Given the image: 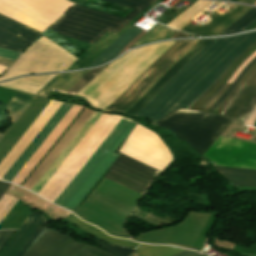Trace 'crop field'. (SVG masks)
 <instances>
[{
	"mask_svg": "<svg viewBox=\"0 0 256 256\" xmlns=\"http://www.w3.org/2000/svg\"><path fill=\"white\" fill-rule=\"evenodd\" d=\"M256 104V74L245 86L231 107L225 113V117L244 123L248 114Z\"/></svg>",
	"mask_w": 256,
	"mask_h": 256,
	"instance_id": "16",
	"label": "crop field"
},
{
	"mask_svg": "<svg viewBox=\"0 0 256 256\" xmlns=\"http://www.w3.org/2000/svg\"><path fill=\"white\" fill-rule=\"evenodd\" d=\"M254 42L256 32L214 39L136 115L149 118L154 124L176 107L188 109Z\"/></svg>",
	"mask_w": 256,
	"mask_h": 256,
	"instance_id": "1",
	"label": "crop field"
},
{
	"mask_svg": "<svg viewBox=\"0 0 256 256\" xmlns=\"http://www.w3.org/2000/svg\"><path fill=\"white\" fill-rule=\"evenodd\" d=\"M162 0H158L148 9H146L142 14H140L137 18L131 21L126 27H124L120 32L116 35L107 32L105 33L93 46H91L73 65H71L67 70L79 69L86 67L92 60H94L108 45H110L119 35H121L127 28H129L135 21H137L143 14L153 8ZM93 62V61H92ZM91 62V63H92ZM90 63V64H91ZM89 64V65H90ZM88 65V66H89ZM87 66V67H88Z\"/></svg>",
	"mask_w": 256,
	"mask_h": 256,
	"instance_id": "17",
	"label": "crop field"
},
{
	"mask_svg": "<svg viewBox=\"0 0 256 256\" xmlns=\"http://www.w3.org/2000/svg\"><path fill=\"white\" fill-rule=\"evenodd\" d=\"M229 122L215 114L177 108L154 125L175 132L202 155Z\"/></svg>",
	"mask_w": 256,
	"mask_h": 256,
	"instance_id": "5",
	"label": "crop field"
},
{
	"mask_svg": "<svg viewBox=\"0 0 256 256\" xmlns=\"http://www.w3.org/2000/svg\"><path fill=\"white\" fill-rule=\"evenodd\" d=\"M254 126H256V123H255V125Z\"/></svg>",
	"mask_w": 256,
	"mask_h": 256,
	"instance_id": "37",
	"label": "crop field"
},
{
	"mask_svg": "<svg viewBox=\"0 0 256 256\" xmlns=\"http://www.w3.org/2000/svg\"><path fill=\"white\" fill-rule=\"evenodd\" d=\"M4 135H2L1 133H0V140H1V138L3 137Z\"/></svg>",
	"mask_w": 256,
	"mask_h": 256,
	"instance_id": "35",
	"label": "crop field"
},
{
	"mask_svg": "<svg viewBox=\"0 0 256 256\" xmlns=\"http://www.w3.org/2000/svg\"><path fill=\"white\" fill-rule=\"evenodd\" d=\"M256 68V63L247 71V73L243 76V78L240 80V82L237 84V86L233 89V91L228 95V97L224 100V102L221 104L219 109L215 112V114H218L222 111L224 106L227 104V102L230 100V98L234 95V93L237 91V89L243 84V82L248 78V76L253 72V70Z\"/></svg>",
	"mask_w": 256,
	"mask_h": 256,
	"instance_id": "27",
	"label": "crop field"
},
{
	"mask_svg": "<svg viewBox=\"0 0 256 256\" xmlns=\"http://www.w3.org/2000/svg\"><path fill=\"white\" fill-rule=\"evenodd\" d=\"M65 219L70 221L72 224L82 228L83 230L89 232L90 234H92V235H94V236H96L100 239H103L107 242H110V243H114V244H118V245H122V246H126V247H136L140 244V243H135L131 240L118 239V238L108 236L105 233H103L101 230H99L98 228L93 227V226H91L87 223H84L83 221L78 219L72 213L68 217H66Z\"/></svg>",
	"mask_w": 256,
	"mask_h": 256,
	"instance_id": "22",
	"label": "crop field"
},
{
	"mask_svg": "<svg viewBox=\"0 0 256 256\" xmlns=\"http://www.w3.org/2000/svg\"><path fill=\"white\" fill-rule=\"evenodd\" d=\"M85 243L44 227L23 256H75ZM76 256H114L86 244Z\"/></svg>",
	"mask_w": 256,
	"mask_h": 256,
	"instance_id": "7",
	"label": "crop field"
},
{
	"mask_svg": "<svg viewBox=\"0 0 256 256\" xmlns=\"http://www.w3.org/2000/svg\"><path fill=\"white\" fill-rule=\"evenodd\" d=\"M45 225L44 216L32 211L0 256H22Z\"/></svg>",
	"mask_w": 256,
	"mask_h": 256,
	"instance_id": "10",
	"label": "crop field"
},
{
	"mask_svg": "<svg viewBox=\"0 0 256 256\" xmlns=\"http://www.w3.org/2000/svg\"><path fill=\"white\" fill-rule=\"evenodd\" d=\"M200 40V39H199ZM199 40L178 41L156 60L121 96L104 112L119 111L125 113L142 95L189 49Z\"/></svg>",
	"mask_w": 256,
	"mask_h": 256,
	"instance_id": "6",
	"label": "crop field"
},
{
	"mask_svg": "<svg viewBox=\"0 0 256 256\" xmlns=\"http://www.w3.org/2000/svg\"><path fill=\"white\" fill-rule=\"evenodd\" d=\"M254 56H256V52L233 74V76L230 78V80L227 82V84L224 86V88L212 99V101L202 111H204V112L209 111V109L214 105V103L219 99V97L229 87V85L232 83V81L235 79V77L241 72V70L248 64V62Z\"/></svg>",
	"mask_w": 256,
	"mask_h": 256,
	"instance_id": "26",
	"label": "crop field"
},
{
	"mask_svg": "<svg viewBox=\"0 0 256 256\" xmlns=\"http://www.w3.org/2000/svg\"><path fill=\"white\" fill-rule=\"evenodd\" d=\"M136 122L122 118L115 129L87 160L75 178L56 199L54 204L70 211L79 205L88 192L117 158L113 153L135 127Z\"/></svg>",
	"mask_w": 256,
	"mask_h": 256,
	"instance_id": "4",
	"label": "crop field"
},
{
	"mask_svg": "<svg viewBox=\"0 0 256 256\" xmlns=\"http://www.w3.org/2000/svg\"><path fill=\"white\" fill-rule=\"evenodd\" d=\"M106 66V65H105ZM105 66L89 71L57 74L47 85H45L36 95L46 97L52 92L65 94L84 76L72 89L66 94L75 95L84 87L99 71Z\"/></svg>",
	"mask_w": 256,
	"mask_h": 256,
	"instance_id": "11",
	"label": "crop field"
},
{
	"mask_svg": "<svg viewBox=\"0 0 256 256\" xmlns=\"http://www.w3.org/2000/svg\"><path fill=\"white\" fill-rule=\"evenodd\" d=\"M182 250L184 249H180L172 246H157V245H147V244H143L142 246L136 248V251L139 256H171ZM173 256H203V255L194 251L184 250Z\"/></svg>",
	"mask_w": 256,
	"mask_h": 256,
	"instance_id": "21",
	"label": "crop field"
},
{
	"mask_svg": "<svg viewBox=\"0 0 256 256\" xmlns=\"http://www.w3.org/2000/svg\"><path fill=\"white\" fill-rule=\"evenodd\" d=\"M237 187H256V170L213 166Z\"/></svg>",
	"mask_w": 256,
	"mask_h": 256,
	"instance_id": "20",
	"label": "crop field"
},
{
	"mask_svg": "<svg viewBox=\"0 0 256 256\" xmlns=\"http://www.w3.org/2000/svg\"><path fill=\"white\" fill-rule=\"evenodd\" d=\"M256 22V9L252 8L228 27H226L219 35H228L232 33H236L243 29L240 32L245 31L249 28L253 23Z\"/></svg>",
	"mask_w": 256,
	"mask_h": 256,
	"instance_id": "24",
	"label": "crop field"
},
{
	"mask_svg": "<svg viewBox=\"0 0 256 256\" xmlns=\"http://www.w3.org/2000/svg\"><path fill=\"white\" fill-rule=\"evenodd\" d=\"M34 97L35 96L18 92L16 96L10 101V103L7 105V108L12 125L19 118V116L26 109V107L30 104V102L34 99ZM11 126L8 129H6L3 133L6 134L7 131L11 128Z\"/></svg>",
	"mask_w": 256,
	"mask_h": 256,
	"instance_id": "23",
	"label": "crop field"
},
{
	"mask_svg": "<svg viewBox=\"0 0 256 256\" xmlns=\"http://www.w3.org/2000/svg\"><path fill=\"white\" fill-rule=\"evenodd\" d=\"M229 1H233V2H236L237 0H229Z\"/></svg>",
	"mask_w": 256,
	"mask_h": 256,
	"instance_id": "36",
	"label": "crop field"
},
{
	"mask_svg": "<svg viewBox=\"0 0 256 256\" xmlns=\"http://www.w3.org/2000/svg\"><path fill=\"white\" fill-rule=\"evenodd\" d=\"M119 154L106 177L144 195L160 172L121 153Z\"/></svg>",
	"mask_w": 256,
	"mask_h": 256,
	"instance_id": "9",
	"label": "crop field"
},
{
	"mask_svg": "<svg viewBox=\"0 0 256 256\" xmlns=\"http://www.w3.org/2000/svg\"><path fill=\"white\" fill-rule=\"evenodd\" d=\"M256 73V69L254 70V72L249 76V78L245 81V83L242 85V87L238 90V92L233 96V98L228 102V104L225 106V108L223 109L222 113L220 114L221 116L224 115V113L227 111V109L230 107V105L232 104V102L235 100V98L238 96V94L241 92V90L244 88V86L249 82V80L254 76V74Z\"/></svg>",
	"mask_w": 256,
	"mask_h": 256,
	"instance_id": "29",
	"label": "crop field"
},
{
	"mask_svg": "<svg viewBox=\"0 0 256 256\" xmlns=\"http://www.w3.org/2000/svg\"><path fill=\"white\" fill-rule=\"evenodd\" d=\"M15 230H1L0 231V250L14 233Z\"/></svg>",
	"mask_w": 256,
	"mask_h": 256,
	"instance_id": "28",
	"label": "crop field"
},
{
	"mask_svg": "<svg viewBox=\"0 0 256 256\" xmlns=\"http://www.w3.org/2000/svg\"><path fill=\"white\" fill-rule=\"evenodd\" d=\"M82 106L73 105L64 118L59 122L43 144L38 148L22 170L13 179L12 183L20 185L21 182L26 178V176L31 172L35 165L40 161V159L45 155L49 148L54 144L58 137L63 133V131L68 127L72 120L77 116V114L82 110Z\"/></svg>",
	"mask_w": 256,
	"mask_h": 256,
	"instance_id": "13",
	"label": "crop field"
},
{
	"mask_svg": "<svg viewBox=\"0 0 256 256\" xmlns=\"http://www.w3.org/2000/svg\"><path fill=\"white\" fill-rule=\"evenodd\" d=\"M12 62H13V60H9V59L0 57V65H2V66L8 67Z\"/></svg>",
	"mask_w": 256,
	"mask_h": 256,
	"instance_id": "32",
	"label": "crop field"
},
{
	"mask_svg": "<svg viewBox=\"0 0 256 256\" xmlns=\"http://www.w3.org/2000/svg\"><path fill=\"white\" fill-rule=\"evenodd\" d=\"M256 51V43L244 52L204 93L189 109L201 111L202 108L214 97V95L225 85L231 75L242 65V63Z\"/></svg>",
	"mask_w": 256,
	"mask_h": 256,
	"instance_id": "18",
	"label": "crop field"
},
{
	"mask_svg": "<svg viewBox=\"0 0 256 256\" xmlns=\"http://www.w3.org/2000/svg\"><path fill=\"white\" fill-rule=\"evenodd\" d=\"M238 2L251 3L254 4L256 0H239Z\"/></svg>",
	"mask_w": 256,
	"mask_h": 256,
	"instance_id": "34",
	"label": "crop field"
},
{
	"mask_svg": "<svg viewBox=\"0 0 256 256\" xmlns=\"http://www.w3.org/2000/svg\"><path fill=\"white\" fill-rule=\"evenodd\" d=\"M72 105L63 103L53 117L48 121L44 128L39 132L35 139L30 143L26 150L21 154L17 161L12 165L8 172L3 176L2 180L11 182L20 169L25 165L41 143L46 139L62 117L67 113Z\"/></svg>",
	"mask_w": 256,
	"mask_h": 256,
	"instance_id": "14",
	"label": "crop field"
},
{
	"mask_svg": "<svg viewBox=\"0 0 256 256\" xmlns=\"http://www.w3.org/2000/svg\"><path fill=\"white\" fill-rule=\"evenodd\" d=\"M134 8L123 19L74 5L50 29L60 35L94 44L106 31L117 33L157 0H107Z\"/></svg>",
	"mask_w": 256,
	"mask_h": 256,
	"instance_id": "3",
	"label": "crop field"
},
{
	"mask_svg": "<svg viewBox=\"0 0 256 256\" xmlns=\"http://www.w3.org/2000/svg\"><path fill=\"white\" fill-rule=\"evenodd\" d=\"M9 186L10 184L0 181V198Z\"/></svg>",
	"mask_w": 256,
	"mask_h": 256,
	"instance_id": "31",
	"label": "crop field"
},
{
	"mask_svg": "<svg viewBox=\"0 0 256 256\" xmlns=\"http://www.w3.org/2000/svg\"><path fill=\"white\" fill-rule=\"evenodd\" d=\"M256 62V57H254L249 64L242 70V72L237 76L232 85L226 90V92L221 96V98L216 102V104L211 108L209 112L214 113L216 109L220 106L226 96L231 92V90L235 87L238 81L242 78V76L246 73V71Z\"/></svg>",
	"mask_w": 256,
	"mask_h": 256,
	"instance_id": "25",
	"label": "crop field"
},
{
	"mask_svg": "<svg viewBox=\"0 0 256 256\" xmlns=\"http://www.w3.org/2000/svg\"><path fill=\"white\" fill-rule=\"evenodd\" d=\"M251 7L241 6L233 4L228 9H226L220 15L216 13L210 14L208 17L211 19L207 24L201 23L197 27L188 24L181 31L196 34L200 37L203 36H216L220 33L226 26L248 11Z\"/></svg>",
	"mask_w": 256,
	"mask_h": 256,
	"instance_id": "12",
	"label": "crop field"
},
{
	"mask_svg": "<svg viewBox=\"0 0 256 256\" xmlns=\"http://www.w3.org/2000/svg\"><path fill=\"white\" fill-rule=\"evenodd\" d=\"M140 32L141 30L131 26L108 46L88 67L97 66L113 59L121 49Z\"/></svg>",
	"mask_w": 256,
	"mask_h": 256,
	"instance_id": "19",
	"label": "crop field"
},
{
	"mask_svg": "<svg viewBox=\"0 0 256 256\" xmlns=\"http://www.w3.org/2000/svg\"><path fill=\"white\" fill-rule=\"evenodd\" d=\"M203 156L218 166L256 169V144L249 142L219 136Z\"/></svg>",
	"mask_w": 256,
	"mask_h": 256,
	"instance_id": "8",
	"label": "crop field"
},
{
	"mask_svg": "<svg viewBox=\"0 0 256 256\" xmlns=\"http://www.w3.org/2000/svg\"><path fill=\"white\" fill-rule=\"evenodd\" d=\"M74 4L66 0H0V13L41 33ZM0 14V47L22 53L41 33Z\"/></svg>",
	"mask_w": 256,
	"mask_h": 256,
	"instance_id": "2",
	"label": "crop field"
},
{
	"mask_svg": "<svg viewBox=\"0 0 256 256\" xmlns=\"http://www.w3.org/2000/svg\"><path fill=\"white\" fill-rule=\"evenodd\" d=\"M17 55H18V53H15V52H12V51L5 50V49H1V48H0V56H2V57L15 60V58L17 57Z\"/></svg>",
	"mask_w": 256,
	"mask_h": 256,
	"instance_id": "30",
	"label": "crop field"
},
{
	"mask_svg": "<svg viewBox=\"0 0 256 256\" xmlns=\"http://www.w3.org/2000/svg\"><path fill=\"white\" fill-rule=\"evenodd\" d=\"M212 39H204L198 42L188 51L176 64H174L165 75L130 109L126 114L135 115L144 105H146L163 87V85L190 59L200 52Z\"/></svg>",
	"mask_w": 256,
	"mask_h": 256,
	"instance_id": "15",
	"label": "crop field"
},
{
	"mask_svg": "<svg viewBox=\"0 0 256 256\" xmlns=\"http://www.w3.org/2000/svg\"><path fill=\"white\" fill-rule=\"evenodd\" d=\"M186 36V34L176 32L171 38H186Z\"/></svg>",
	"mask_w": 256,
	"mask_h": 256,
	"instance_id": "33",
	"label": "crop field"
}]
</instances>
